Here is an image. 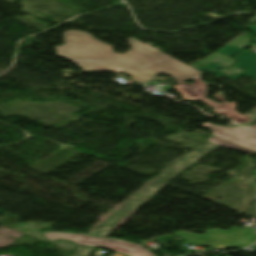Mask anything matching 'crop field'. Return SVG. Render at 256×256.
Returning <instances> with one entry per match:
<instances>
[{
  "instance_id": "1",
  "label": "crop field",
  "mask_w": 256,
  "mask_h": 256,
  "mask_svg": "<svg viewBox=\"0 0 256 256\" xmlns=\"http://www.w3.org/2000/svg\"><path fill=\"white\" fill-rule=\"evenodd\" d=\"M65 46L57 47L58 56L71 60H87L83 71L126 72L132 80L146 82L152 74H165L181 83L201 73L185 64L131 38L127 42L132 49L124 54L113 52L105 45L84 32L69 31L64 34Z\"/></svg>"
},
{
  "instance_id": "2",
  "label": "crop field",
  "mask_w": 256,
  "mask_h": 256,
  "mask_svg": "<svg viewBox=\"0 0 256 256\" xmlns=\"http://www.w3.org/2000/svg\"><path fill=\"white\" fill-rule=\"evenodd\" d=\"M173 235L201 247L211 246L220 250L233 246L242 249L256 241V231L238 227H233L230 231L207 230L203 235L185 231Z\"/></svg>"
},
{
  "instance_id": "3",
  "label": "crop field",
  "mask_w": 256,
  "mask_h": 256,
  "mask_svg": "<svg viewBox=\"0 0 256 256\" xmlns=\"http://www.w3.org/2000/svg\"><path fill=\"white\" fill-rule=\"evenodd\" d=\"M43 236L51 241L66 239L78 245L102 247L114 252H120L130 256H154L153 253L143 249L141 245L120 240L96 238L88 235L68 233H45L43 234Z\"/></svg>"
},
{
  "instance_id": "4",
  "label": "crop field",
  "mask_w": 256,
  "mask_h": 256,
  "mask_svg": "<svg viewBox=\"0 0 256 256\" xmlns=\"http://www.w3.org/2000/svg\"><path fill=\"white\" fill-rule=\"evenodd\" d=\"M203 126L212 129V135L235 144L246 147L256 152V133L243 127L227 128L205 123Z\"/></svg>"
},
{
  "instance_id": "5",
  "label": "crop field",
  "mask_w": 256,
  "mask_h": 256,
  "mask_svg": "<svg viewBox=\"0 0 256 256\" xmlns=\"http://www.w3.org/2000/svg\"><path fill=\"white\" fill-rule=\"evenodd\" d=\"M235 58L240 62L235 67L244 70V73L232 77H227L218 71L209 73L217 77H227L232 80H235L242 76H249L256 80V54L244 51L238 54ZM254 84H256V81Z\"/></svg>"
},
{
  "instance_id": "6",
  "label": "crop field",
  "mask_w": 256,
  "mask_h": 256,
  "mask_svg": "<svg viewBox=\"0 0 256 256\" xmlns=\"http://www.w3.org/2000/svg\"><path fill=\"white\" fill-rule=\"evenodd\" d=\"M192 80H195V83L191 85L182 83L173 87L182 94V99H198L206 96L207 84L201 77L198 76Z\"/></svg>"
},
{
  "instance_id": "7",
  "label": "crop field",
  "mask_w": 256,
  "mask_h": 256,
  "mask_svg": "<svg viewBox=\"0 0 256 256\" xmlns=\"http://www.w3.org/2000/svg\"><path fill=\"white\" fill-rule=\"evenodd\" d=\"M215 97L218 100L223 101L226 105L223 108H218L217 105L219 103H217V102L211 101L206 98L199 99V100L207 103L210 107L214 108L215 109L214 111L216 113L223 114V115L233 119L237 123L250 121V119L248 117L242 116L235 112L236 102L227 103L224 101L222 95H215Z\"/></svg>"
},
{
  "instance_id": "8",
  "label": "crop field",
  "mask_w": 256,
  "mask_h": 256,
  "mask_svg": "<svg viewBox=\"0 0 256 256\" xmlns=\"http://www.w3.org/2000/svg\"><path fill=\"white\" fill-rule=\"evenodd\" d=\"M206 141L214 143V144H217V145L225 147V148H231L233 150H240V151H244V152H247V153H255V152L250 151V150H248L246 148L240 147L238 145L232 144L230 142L224 141V140L216 138L214 136L206 139Z\"/></svg>"
},
{
  "instance_id": "9",
  "label": "crop field",
  "mask_w": 256,
  "mask_h": 256,
  "mask_svg": "<svg viewBox=\"0 0 256 256\" xmlns=\"http://www.w3.org/2000/svg\"><path fill=\"white\" fill-rule=\"evenodd\" d=\"M242 49L240 47L225 46L218 52L234 57Z\"/></svg>"
},
{
  "instance_id": "10",
  "label": "crop field",
  "mask_w": 256,
  "mask_h": 256,
  "mask_svg": "<svg viewBox=\"0 0 256 256\" xmlns=\"http://www.w3.org/2000/svg\"><path fill=\"white\" fill-rule=\"evenodd\" d=\"M220 68H224V67L221 65H209V66L197 67L196 69L204 72V71L220 69Z\"/></svg>"
},
{
  "instance_id": "11",
  "label": "crop field",
  "mask_w": 256,
  "mask_h": 256,
  "mask_svg": "<svg viewBox=\"0 0 256 256\" xmlns=\"http://www.w3.org/2000/svg\"><path fill=\"white\" fill-rule=\"evenodd\" d=\"M76 63L77 66L83 67L84 65H86V61H74Z\"/></svg>"
},
{
  "instance_id": "12",
  "label": "crop field",
  "mask_w": 256,
  "mask_h": 256,
  "mask_svg": "<svg viewBox=\"0 0 256 256\" xmlns=\"http://www.w3.org/2000/svg\"><path fill=\"white\" fill-rule=\"evenodd\" d=\"M249 128H252V129L256 130V125L250 126Z\"/></svg>"
},
{
  "instance_id": "13",
  "label": "crop field",
  "mask_w": 256,
  "mask_h": 256,
  "mask_svg": "<svg viewBox=\"0 0 256 256\" xmlns=\"http://www.w3.org/2000/svg\"><path fill=\"white\" fill-rule=\"evenodd\" d=\"M225 104H220L218 107H223Z\"/></svg>"
},
{
  "instance_id": "14",
  "label": "crop field",
  "mask_w": 256,
  "mask_h": 256,
  "mask_svg": "<svg viewBox=\"0 0 256 256\" xmlns=\"http://www.w3.org/2000/svg\"><path fill=\"white\" fill-rule=\"evenodd\" d=\"M256 43V41H254Z\"/></svg>"
}]
</instances>
